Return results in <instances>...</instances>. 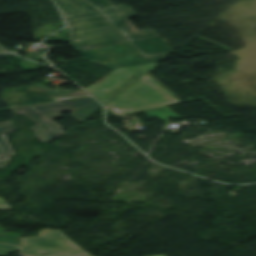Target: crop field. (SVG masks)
<instances>
[{
	"label": "crop field",
	"instance_id": "crop-field-14",
	"mask_svg": "<svg viewBox=\"0 0 256 256\" xmlns=\"http://www.w3.org/2000/svg\"><path fill=\"white\" fill-rule=\"evenodd\" d=\"M0 209H10V206L2 198H0Z\"/></svg>",
	"mask_w": 256,
	"mask_h": 256
},
{
	"label": "crop field",
	"instance_id": "crop-field-16",
	"mask_svg": "<svg viewBox=\"0 0 256 256\" xmlns=\"http://www.w3.org/2000/svg\"><path fill=\"white\" fill-rule=\"evenodd\" d=\"M160 256H164V255H160Z\"/></svg>",
	"mask_w": 256,
	"mask_h": 256
},
{
	"label": "crop field",
	"instance_id": "crop-field-11",
	"mask_svg": "<svg viewBox=\"0 0 256 256\" xmlns=\"http://www.w3.org/2000/svg\"><path fill=\"white\" fill-rule=\"evenodd\" d=\"M96 10L114 7L109 0H87Z\"/></svg>",
	"mask_w": 256,
	"mask_h": 256
},
{
	"label": "crop field",
	"instance_id": "crop-field-3",
	"mask_svg": "<svg viewBox=\"0 0 256 256\" xmlns=\"http://www.w3.org/2000/svg\"><path fill=\"white\" fill-rule=\"evenodd\" d=\"M85 105L88 106L80 110L77 109ZM100 107L101 105H99L93 99L87 98L50 105L18 109L15 111L18 114L24 113L34 122H36L38 125L29 128H31L36 133L34 135H36L42 141L46 142L54 137L63 134V132L60 130L61 128L52 121V119L62 117L59 113L69 109L73 112L71 116L81 123Z\"/></svg>",
	"mask_w": 256,
	"mask_h": 256
},
{
	"label": "crop field",
	"instance_id": "crop-field-1",
	"mask_svg": "<svg viewBox=\"0 0 256 256\" xmlns=\"http://www.w3.org/2000/svg\"><path fill=\"white\" fill-rule=\"evenodd\" d=\"M129 41L157 36L152 29L138 32L127 20L136 17V13L126 6L98 11ZM69 25L71 45L77 51L126 42L105 19L97 12L65 18Z\"/></svg>",
	"mask_w": 256,
	"mask_h": 256
},
{
	"label": "crop field",
	"instance_id": "crop-field-9",
	"mask_svg": "<svg viewBox=\"0 0 256 256\" xmlns=\"http://www.w3.org/2000/svg\"><path fill=\"white\" fill-rule=\"evenodd\" d=\"M12 132H14V130L0 132V168L8 164V156L15 155L14 152L11 150L8 140L5 136V134Z\"/></svg>",
	"mask_w": 256,
	"mask_h": 256
},
{
	"label": "crop field",
	"instance_id": "crop-field-15",
	"mask_svg": "<svg viewBox=\"0 0 256 256\" xmlns=\"http://www.w3.org/2000/svg\"><path fill=\"white\" fill-rule=\"evenodd\" d=\"M4 52H8V50H6V49L3 48L2 46H0V53H4Z\"/></svg>",
	"mask_w": 256,
	"mask_h": 256
},
{
	"label": "crop field",
	"instance_id": "crop-field-2",
	"mask_svg": "<svg viewBox=\"0 0 256 256\" xmlns=\"http://www.w3.org/2000/svg\"><path fill=\"white\" fill-rule=\"evenodd\" d=\"M175 103H179V101L145 75L105 105L115 114L121 115Z\"/></svg>",
	"mask_w": 256,
	"mask_h": 256
},
{
	"label": "crop field",
	"instance_id": "crop-field-4",
	"mask_svg": "<svg viewBox=\"0 0 256 256\" xmlns=\"http://www.w3.org/2000/svg\"><path fill=\"white\" fill-rule=\"evenodd\" d=\"M91 62L111 70L158 62L166 55L144 58L129 42L83 51Z\"/></svg>",
	"mask_w": 256,
	"mask_h": 256
},
{
	"label": "crop field",
	"instance_id": "crop-field-13",
	"mask_svg": "<svg viewBox=\"0 0 256 256\" xmlns=\"http://www.w3.org/2000/svg\"><path fill=\"white\" fill-rule=\"evenodd\" d=\"M10 129H14L11 122L0 123V131L10 130Z\"/></svg>",
	"mask_w": 256,
	"mask_h": 256
},
{
	"label": "crop field",
	"instance_id": "crop-field-8",
	"mask_svg": "<svg viewBox=\"0 0 256 256\" xmlns=\"http://www.w3.org/2000/svg\"><path fill=\"white\" fill-rule=\"evenodd\" d=\"M63 16L90 11L91 6L84 0H55Z\"/></svg>",
	"mask_w": 256,
	"mask_h": 256
},
{
	"label": "crop field",
	"instance_id": "crop-field-12",
	"mask_svg": "<svg viewBox=\"0 0 256 256\" xmlns=\"http://www.w3.org/2000/svg\"><path fill=\"white\" fill-rule=\"evenodd\" d=\"M18 251V248L0 244V256H7L9 253Z\"/></svg>",
	"mask_w": 256,
	"mask_h": 256
},
{
	"label": "crop field",
	"instance_id": "crop-field-7",
	"mask_svg": "<svg viewBox=\"0 0 256 256\" xmlns=\"http://www.w3.org/2000/svg\"><path fill=\"white\" fill-rule=\"evenodd\" d=\"M145 57L174 52L160 37H152L131 42Z\"/></svg>",
	"mask_w": 256,
	"mask_h": 256
},
{
	"label": "crop field",
	"instance_id": "crop-field-5",
	"mask_svg": "<svg viewBox=\"0 0 256 256\" xmlns=\"http://www.w3.org/2000/svg\"><path fill=\"white\" fill-rule=\"evenodd\" d=\"M20 244H22V253L29 256L42 253L89 256L60 230L40 231L39 237L23 238Z\"/></svg>",
	"mask_w": 256,
	"mask_h": 256
},
{
	"label": "crop field",
	"instance_id": "crop-field-6",
	"mask_svg": "<svg viewBox=\"0 0 256 256\" xmlns=\"http://www.w3.org/2000/svg\"><path fill=\"white\" fill-rule=\"evenodd\" d=\"M156 65L153 63L114 71L86 89L105 102Z\"/></svg>",
	"mask_w": 256,
	"mask_h": 256
},
{
	"label": "crop field",
	"instance_id": "crop-field-10",
	"mask_svg": "<svg viewBox=\"0 0 256 256\" xmlns=\"http://www.w3.org/2000/svg\"><path fill=\"white\" fill-rule=\"evenodd\" d=\"M21 234L5 232L0 228V241L19 245Z\"/></svg>",
	"mask_w": 256,
	"mask_h": 256
}]
</instances>
